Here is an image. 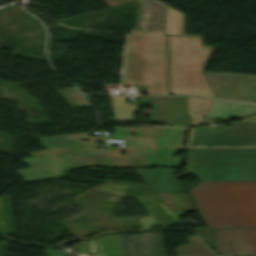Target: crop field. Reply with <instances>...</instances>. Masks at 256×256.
<instances>
[{"label": "crop field", "mask_w": 256, "mask_h": 256, "mask_svg": "<svg viewBox=\"0 0 256 256\" xmlns=\"http://www.w3.org/2000/svg\"><path fill=\"white\" fill-rule=\"evenodd\" d=\"M79 253L94 251L95 256H121L118 235H105L77 245Z\"/></svg>", "instance_id": "22f410ed"}, {"label": "crop field", "mask_w": 256, "mask_h": 256, "mask_svg": "<svg viewBox=\"0 0 256 256\" xmlns=\"http://www.w3.org/2000/svg\"><path fill=\"white\" fill-rule=\"evenodd\" d=\"M136 170L150 184L155 192H183L181 186L172 176L173 168Z\"/></svg>", "instance_id": "d1516ede"}, {"label": "crop field", "mask_w": 256, "mask_h": 256, "mask_svg": "<svg viewBox=\"0 0 256 256\" xmlns=\"http://www.w3.org/2000/svg\"><path fill=\"white\" fill-rule=\"evenodd\" d=\"M124 85H136L147 94H167L166 36L163 31H131ZM143 85L147 88L142 89Z\"/></svg>", "instance_id": "412701ff"}, {"label": "crop field", "mask_w": 256, "mask_h": 256, "mask_svg": "<svg viewBox=\"0 0 256 256\" xmlns=\"http://www.w3.org/2000/svg\"><path fill=\"white\" fill-rule=\"evenodd\" d=\"M240 121L256 123V115L240 119Z\"/></svg>", "instance_id": "4a817a6b"}, {"label": "crop field", "mask_w": 256, "mask_h": 256, "mask_svg": "<svg viewBox=\"0 0 256 256\" xmlns=\"http://www.w3.org/2000/svg\"><path fill=\"white\" fill-rule=\"evenodd\" d=\"M72 108L89 106L74 87L57 90ZM60 95V96H61Z\"/></svg>", "instance_id": "733c2abd"}, {"label": "crop field", "mask_w": 256, "mask_h": 256, "mask_svg": "<svg viewBox=\"0 0 256 256\" xmlns=\"http://www.w3.org/2000/svg\"><path fill=\"white\" fill-rule=\"evenodd\" d=\"M190 193L210 228L256 226V181L200 182Z\"/></svg>", "instance_id": "34b2d1b8"}, {"label": "crop field", "mask_w": 256, "mask_h": 256, "mask_svg": "<svg viewBox=\"0 0 256 256\" xmlns=\"http://www.w3.org/2000/svg\"><path fill=\"white\" fill-rule=\"evenodd\" d=\"M86 138L87 141H77ZM46 149L58 162L62 170L85 167H159L176 166L179 157H171L169 153L184 148H149V147H115L114 152L95 149L96 138L85 133L59 135L39 138ZM125 152L127 155H120ZM32 158L21 159L31 168L17 170L26 182L64 177L59 167L46 150L30 153ZM144 155V157H141ZM33 164L37 161H45ZM60 173V175L31 178L36 176ZM23 179V180H24Z\"/></svg>", "instance_id": "8a807250"}, {"label": "crop field", "mask_w": 256, "mask_h": 256, "mask_svg": "<svg viewBox=\"0 0 256 256\" xmlns=\"http://www.w3.org/2000/svg\"><path fill=\"white\" fill-rule=\"evenodd\" d=\"M216 250L223 256H256V228L217 230Z\"/></svg>", "instance_id": "3316defc"}, {"label": "crop field", "mask_w": 256, "mask_h": 256, "mask_svg": "<svg viewBox=\"0 0 256 256\" xmlns=\"http://www.w3.org/2000/svg\"><path fill=\"white\" fill-rule=\"evenodd\" d=\"M192 124L200 123L202 119L191 117Z\"/></svg>", "instance_id": "bc2a9ffb"}, {"label": "crop field", "mask_w": 256, "mask_h": 256, "mask_svg": "<svg viewBox=\"0 0 256 256\" xmlns=\"http://www.w3.org/2000/svg\"><path fill=\"white\" fill-rule=\"evenodd\" d=\"M139 102L152 104L150 120L137 122L173 123L178 126L190 124L185 114V97L148 96Z\"/></svg>", "instance_id": "5a996713"}, {"label": "crop field", "mask_w": 256, "mask_h": 256, "mask_svg": "<svg viewBox=\"0 0 256 256\" xmlns=\"http://www.w3.org/2000/svg\"><path fill=\"white\" fill-rule=\"evenodd\" d=\"M3 229V228H2ZM4 230V229H3Z\"/></svg>", "instance_id": "214f88e0"}, {"label": "crop field", "mask_w": 256, "mask_h": 256, "mask_svg": "<svg viewBox=\"0 0 256 256\" xmlns=\"http://www.w3.org/2000/svg\"><path fill=\"white\" fill-rule=\"evenodd\" d=\"M204 74L217 98L256 102V75Z\"/></svg>", "instance_id": "e52e79f7"}, {"label": "crop field", "mask_w": 256, "mask_h": 256, "mask_svg": "<svg viewBox=\"0 0 256 256\" xmlns=\"http://www.w3.org/2000/svg\"><path fill=\"white\" fill-rule=\"evenodd\" d=\"M256 111V104L217 100L207 117L231 118Z\"/></svg>", "instance_id": "cbeb9de0"}, {"label": "crop field", "mask_w": 256, "mask_h": 256, "mask_svg": "<svg viewBox=\"0 0 256 256\" xmlns=\"http://www.w3.org/2000/svg\"><path fill=\"white\" fill-rule=\"evenodd\" d=\"M209 108V99L187 97V115L203 118Z\"/></svg>", "instance_id": "d9b57169"}, {"label": "crop field", "mask_w": 256, "mask_h": 256, "mask_svg": "<svg viewBox=\"0 0 256 256\" xmlns=\"http://www.w3.org/2000/svg\"><path fill=\"white\" fill-rule=\"evenodd\" d=\"M122 256H132L129 241L138 237L128 234L119 235ZM135 256H164L161 232L141 233L138 240L132 243Z\"/></svg>", "instance_id": "28ad6ade"}, {"label": "crop field", "mask_w": 256, "mask_h": 256, "mask_svg": "<svg viewBox=\"0 0 256 256\" xmlns=\"http://www.w3.org/2000/svg\"><path fill=\"white\" fill-rule=\"evenodd\" d=\"M189 145L256 146V124L233 122V127L218 131L195 126Z\"/></svg>", "instance_id": "dd49c442"}, {"label": "crop field", "mask_w": 256, "mask_h": 256, "mask_svg": "<svg viewBox=\"0 0 256 256\" xmlns=\"http://www.w3.org/2000/svg\"><path fill=\"white\" fill-rule=\"evenodd\" d=\"M115 121H133L136 106L125 101L124 96H110Z\"/></svg>", "instance_id": "5142ce71"}, {"label": "crop field", "mask_w": 256, "mask_h": 256, "mask_svg": "<svg viewBox=\"0 0 256 256\" xmlns=\"http://www.w3.org/2000/svg\"><path fill=\"white\" fill-rule=\"evenodd\" d=\"M185 129L166 127H114L112 138L129 139L128 144L131 145L182 146L180 143ZM131 133L136 134V136H129Z\"/></svg>", "instance_id": "d8731c3e"}, {"label": "crop field", "mask_w": 256, "mask_h": 256, "mask_svg": "<svg viewBox=\"0 0 256 256\" xmlns=\"http://www.w3.org/2000/svg\"><path fill=\"white\" fill-rule=\"evenodd\" d=\"M169 44L170 94L216 98L202 70L214 48L202 46V36H185L183 13L165 5Z\"/></svg>", "instance_id": "ac0d7876"}, {"label": "crop field", "mask_w": 256, "mask_h": 256, "mask_svg": "<svg viewBox=\"0 0 256 256\" xmlns=\"http://www.w3.org/2000/svg\"><path fill=\"white\" fill-rule=\"evenodd\" d=\"M185 173L200 180L256 179V149L189 148Z\"/></svg>", "instance_id": "f4fd0767"}]
</instances>
